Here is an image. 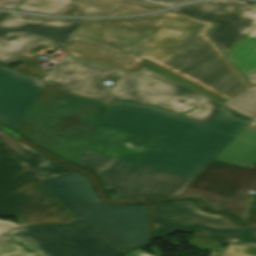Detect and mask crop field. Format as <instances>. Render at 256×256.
I'll return each mask as SVG.
<instances>
[{"mask_svg":"<svg viewBox=\"0 0 256 256\" xmlns=\"http://www.w3.org/2000/svg\"><path fill=\"white\" fill-rule=\"evenodd\" d=\"M256 191V163L243 168L212 160L176 196L203 199L213 209L249 219V205Z\"/></svg>","mask_w":256,"mask_h":256,"instance_id":"obj_8","label":"crop field"},{"mask_svg":"<svg viewBox=\"0 0 256 256\" xmlns=\"http://www.w3.org/2000/svg\"><path fill=\"white\" fill-rule=\"evenodd\" d=\"M77 24L76 19L12 13L0 21V63L9 65L15 60H24L14 69L27 75L41 76L45 68L37 64L42 60L24 52L37 42L59 47Z\"/></svg>","mask_w":256,"mask_h":256,"instance_id":"obj_7","label":"crop field"},{"mask_svg":"<svg viewBox=\"0 0 256 256\" xmlns=\"http://www.w3.org/2000/svg\"><path fill=\"white\" fill-rule=\"evenodd\" d=\"M39 256H112L133 245L80 220L69 225H44L7 233Z\"/></svg>","mask_w":256,"mask_h":256,"instance_id":"obj_5","label":"crop field"},{"mask_svg":"<svg viewBox=\"0 0 256 256\" xmlns=\"http://www.w3.org/2000/svg\"><path fill=\"white\" fill-rule=\"evenodd\" d=\"M115 70L69 59L43 78L49 85L102 101L110 88L100 86Z\"/></svg>","mask_w":256,"mask_h":256,"instance_id":"obj_11","label":"crop field"},{"mask_svg":"<svg viewBox=\"0 0 256 256\" xmlns=\"http://www.w3.org/2000/svg\"><path fill=\"white\" fill-rule=\"evenodd\" d=\"M251 85L256 86V73L246 78Z\"/></svg>","mask_w":256,"mask_h":256,"instance_id":"obj_22","label":"crop field"},{"mask_svg":"<svg viewBox=\"0 0 256 256\" xmlns=\"http://www.w3.org/2000/svg\"><path fill=\"white\" fill-rule=\"evenodd\" d=\"M126 256H154V255L150 253H146L142 250L136 249L134 251L129 252Z\"/></svg>","mask_w":256,"mask_h":256,"instance_id":"obj_21","label":"crop field"},{"mask_svg":"<svg viewBox=\"0 0 256 256\" xmlns=\"http://www.w3.org/2000/svg\"><path fill=\"white\" fill-rule=\"evenodd\" d=\"M73 172L0 132V233L42 222H70L76 217L36 182Z\"/></svg>","mask_w":256,"mask_h":256,"instance_id":"obj_3","label":"crop field"},{"mask_svg":"<svg viewBox=\"0 0 256 256\" xmlns=\"http://www.w3.org/2000/svg\"><path fill=\"white\" fill-rule=\"evenodd\" d=\"M171 11L217 23L207 35L224 53L256 27V8L242 0L199 2Z\"/></svg>","mask_w":256,"mask_h":256,"instance_id":"obj_10","label":"crop field"},{"mask_svg":"<svg viewBox=\"0 0 256 256\" xmlns=\"http://www.w3.org/2000/svg\"><path fill=\"white\" fill-rule=\"evenodd\" d=\"M22 0H0V8L12 9Z\"/></svg>","mask_w":256,"mask_h":256,"instance_id":"obj_20","label":"crop field"},{"mask_svg":"<svg viewBox=\"0 0 256 256\" xmlns=\"http://www.w3.org/2000/svg\"><path fill=\"white\" fill-rule=\"evenodd\" d=\"M232 109L256 120V87L253 86L223 102Z\"/></svg>","mask_w":256,"mask_h":256,"instance_id":"obj_15","label":"crop field"},{"mask_svg":"<svg viewBox=\"0 0 256 256\" xmlns=\"http://www.w3.org/2000/svg\"><path fill=\"white\" fill-rule=\"evenodd\" d=\"M250 121L210 123L53 88L0 65V123L95 172L112 199L174 197Z\"/></svg>","mask_w":256,"mask_h":256,"instance_id":"obj_1","label":"crop field"},{"mask_svg":"<svg viewBox=\"0 0 256 256\" xmlns=\"http://www.w3.org/2000/svg\"><path fill=\"white\" fill-rule=\"evenodd\" d=\"M215 26L171 11L130 19H83L61 50L122 70L145 65L223 102L251 85L206 35Z\"/></svg>","mask_w":256,"mask_h":256,"instance_id":"obj_2","label":"crop field"},{"mask_svg":"<svg viewBox=\"0 0 256 256\" xmlns=\"http://www.w3.org/2000/svg\"><path fill=\"white\" fill-rule=\"evenodd\" d=\"M38 256L36 253L27 252L22 247L11 241L5 235H0V256Z\"/></svg>","mask_w":256,"mask_h":256,"instance_id":"obj_17","label":"crop field"},{"mask_svg":"<svg viewBox=\"0 0 256 256\" xmlns=\"http://www.w3.org/2000/svg\"><path fill=\"white\" fill-rule=\"evenodd\" d=\"M121 78L107 95L104 102L132 100L159 106L181 113L192 106L197 109L186 114L188 117L210 122L224 106L150 71L127 73L117 71ZM206 122V123H207Z\"/></svg>","mask_w":256,"mask_h":256,"instance_id":"obj_6","label":"crop field"},{"mask_svg":"<svg viewBox=\"0 0 256 256\" xmlns=\"http://www.w3.org/2000/svg\"><path fill=\"white\" fill-rule=\"evenodd\" d=\"M139 1L147 2L156 6L166 8V7H170V6L187 2L190 0H139Z\"/></svg>","mask_w":256,"mask_h":256,"instance_id":"obj_19","label":"crop field"},{"mask_svg":"<svg viewBox=\"0 0 256 256\" xmlns=\"http://www.w3.org/2000/svg\"><path fill=\"white\" fill-rule=\"evenodd\" d=\"M224 56L244 78L256 72V28L227 51Z\"/></svg>","mask_w":256,"mask_h":256,"instance_id":"obj_14","label":"crop field"},{"mask_svg":"<svg viewBox=\"0 0 256 256\" xmlns=\"http://www.w3.org/2000/svg\"><path fill=\"white\" fill-rule=\"evenodd\" d=\"M228 249L240 251L245 256H256V247L230 243Z\"/></svg>","mask_w":256,"mask_h":256,"instance_id":"obj_18","label":"crop field"},{"mask_svg":"<svg viewBox=\"0 0 256 256\" xmlns=\"http://www.w3.org/2000/svg\"><path fill=\"white\" fill-rule=\"evenodd\" d=\"M72 1L73 0H26L16 10L33 13L56 14Z\"/></svg>","mask_w":256,"mask_h":256,"instance_id":"obj_16","label":"crop field"},{"mask_svg":"<svg viewBox=\"0 0 256 256\" xmlns=\"http://www.w3.org/2000/svg\"><path fill=\"white\" fill-rule=\"evenodd\" d=\"M227 255H229V256H244V255H243L242 253H240V252L231 251V250H228Z\"/></svg>","mask_w":256,"mask_h":256,"instance_id":"obj_23","label":"crop field"},{"mask_svg":"<svg viewBox=\"0 0 256 256\" xmlns=\"http://www.w3.org/2000/svg\"><path fill=\"white\" fill-rule=\"evenodd\" d=\"M161 9L163 8L134 0H75L58 14L68 16H104L146 13Z\"/></svg>","mask_w":256,"mask_h":256,"instance_id":"obj_12","label":"crop field"},{"mask_svg":"<svg viewBox=\"0 0 256 256\" xmlns=\"http://www.w3.org/2000/svg\"><path fill=\"white\" fill-rule=\"evenodd\" d=\"M214 159L251 167L256 162V123H249Z\"/></svg>","mask_w":256,"mask_h":256,"instance_id":"obj_13","label":"crop field"},{"mask_svg":"<svg viewBox=\"0 0 256 256\" xmlns=\"http://www.w3.org/2000/svg\"><path fill=\"white\" fill-rule=\"evenodd\" d=\"M80 220L131 244L148 241L145 205L115 206L98 200L76 172L38 182Z\"/></svg>","mask_w":256,"mask_h":256,"instance_id":"obj_4","label":"crop field"},{"mask_svg":"<svg viewBox=\"0 0 256 256\" xmlns=\"http://www.w3.org/2000/svg\"><path fill=\"white\" fill-rule=\"evenodd\" d=\"M152 214L155 238L182 229L220 242L235 237L240 238V243L256 245V223L237 225L221 215L205 212L192 201L153 204Z\"/></svg>","mask_w":256,"mask_h":256,"instance_id":"obj_9","label":"crop field"},{"mask_svg":"<svg viewBox=\"0 0 256 256\" xmlns=\"http://www.w3.org/2000/svg\"><path fill=\"white\" fill-rule=\"evenodd\" d=\"M3 14H4V13H1V12H0V18H1V16H2Z\"/></svg>","mask_w":256,"mask_h":256,"instance_id":"obj_24","label":"crop field"}]
</instances>
